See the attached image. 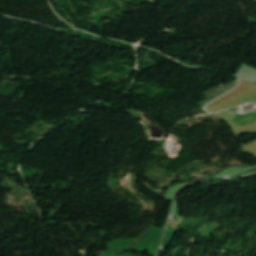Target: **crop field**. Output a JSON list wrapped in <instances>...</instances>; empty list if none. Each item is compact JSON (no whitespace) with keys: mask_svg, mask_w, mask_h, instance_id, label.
Listing matches in <instances>:
<instances>
[{"mask_svg":"<svg viewBox=\"0 0 256 256\" xmlns=\"http://www.w3.org/2000/svg\"><path fill=\"white\" fill-rule=\"evenodd\" d=\"M237 85H238V79L235 80V82H232L226 86L218 87V88L212 89L210 91H207L206 96L208 97V100L205 102H202L201 105L205 106L209 102L213 101L214 99H216L217 97L226 93L227 91H229L230 89L234 88Z\"/></svg>","mask_w":256,"mask_h":256,"instance_id":"obj_1","label":"crop field"},{"mask_svg":"<svg viewBox=\"0 0 256 256\" xmlns=\"http://www.w3.org/2000/svg\"><path fill=\"white\" fill-rule=\"evenodd\" d=\"M256 131V130H255Z\"/></svg>","mask_w":256,"mask_h":256,"instance_id":"obj_2","label":"crop field"}]
</instances>
